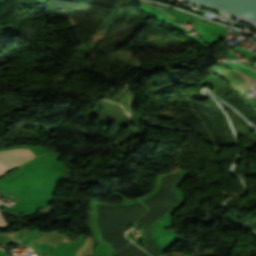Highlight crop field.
Listing matches in <instances>:
<instances>
[{"label": "crop field", "instance_id": "crop-field-1", "mask_svg": "<svg viewBox=\"0 0 256 256\" xmlns=\"http://www.w3.org/2000/svg\"><path fill=\"white\" fill-rule=\"evenodd\" d=\"M18 154H20L27 161L30 160L35 155L29 149H13ZM12 149L6 151H0V162L4 164L10 170L15 168L16 166L26 162L21 156H19ZM0 163V176L4 175L9 169H7L4 165Z\"/></svg>", "mask_w": 256, "mask_h": 256}]
</instances>
